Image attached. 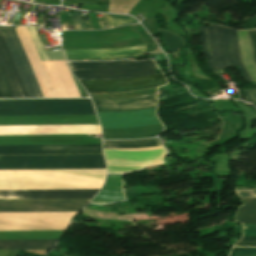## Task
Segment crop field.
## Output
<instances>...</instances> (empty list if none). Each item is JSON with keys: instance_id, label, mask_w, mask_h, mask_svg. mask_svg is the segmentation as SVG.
Here are the masks:
<instances>
[{"instance_id": "2", "label": "crop field", "mask_w": 256, "mask_h": 256, "mask_svg": "<svg viewBox=\"0 0 256 256\" xmlns=\"http://www.w3.org/2000/svg\"><path fill=\"white\" fill-rule=\"evenodd\" d=\"M78 80L122 79L155 74L156 65L148 61L69 62Z\"/></svg>"}, {"instance_id": "9", "label": "crop field", "mask_w": 256, "mask_h": 256, "mask_svg": "<svg viewBox=\"0 0 256 256\" xmlns=\"http://www.w3.org/2000/svg\"><path fill=\"white\" fill-rule=\"evenodd\" d=\"M98 114L103 128H127L160 123L155 115V108L124 113Z\"/></svg>"}, {"instance_id": "22", "label": "crop field", "mask_w": 256, "mask_h": 256, "mask_svg": "<svg viewBox=\"0 0 256 256\" xmlns=\"http://www.w3.org/2000/svg\"><path fill=\"white\" fill-rule=\"evenodd\" d=\"M249 41L256 61V30L248 31Z\"/></svg>"}, {"instance_id": "6", "label": "crop field", "mask_w": 256, "mask_h": 256, "mask_svg": "<svg viewBox=\"0 0 256 256\" xmlns=\"http://www.w3.org/2000/svg\"><path fill=\"white\" fill-rule=\"evenodd\" d=\"M89 93L103 92H124L145 89L155 86H161L166 83L162 74L122 79V80H97V81H80Z\"/></svg>"}, {"instance_id": "20", "label": "crop field", "mask_w": 256, "mask_h": 256, "mask_svg": "<svg viewBox=\"0 0 256 256\" xmlns=\"http://www.w3.org/2000/svg\"><path fill=\"white\" fill-rule=\"evenodd\" d=\"M72 19L74 21V30H85L81 19V12L72 10Z\"/></svg>"}, {"instance_id": "16", "label": "crop field", "mask_w": 256, "mask_h": 256, "mask_svg": "<svg viewBox=\"0 0 256 256\" xmlns=\"http://www.w3.org/2000/svg\"><path fill=\"white\" fill-rule=\"evenodd\" d=\"M245 206L241 207L236 221L246 224H256V198H242Z\"/></svg>"}, {"instance_id": "15", "label": "crop field", "mask_w": 256, "mask_h": 256, "mask_svg": "<svg viewBox=\"0 0 256 256\" xmlns=\"http://www.w3.org/2000/svg\"><path fill=\"white\" fill-rule=\"evenodd\" d=\"M57 240H0V250L52 249Z\"/></svg>"}, {"instance_id": "17", "label": "crop field", "mask_w": 256, "mask_h": 256, "mask_svg": "<svg viewBox=\"0 0 256 256\" xmlns=\"http://www.w3.org/2000/svg\"><path fill=\"white\" fill-rule=\"evenodd\" d=\"M161 145L158 139L141 141L103 142V148H141Z\"/></svg>"}, {"instance_id": "8", "label": "crop field", "mask_w": 256, "mask_h": 256, "mask_svg": "<svg viewBox=\"0 0 256 256\" xmlns=\"http://www.w3.org/2000/svg\"><path fill=\"white\" fill-rule=\"evenodd\" d=\"M0 68L14 98H28L0 32ZM0 70V98H13Z\"/></svg>"}, {"instance_id": "7", "label": "crop field", "mask_w": 256, "mask_h": 256, "mask_svg": "<svg viewBox=\"0 0 256 256\" xmlns=\"http://www.w3.org/2000/svg\"><path fill=\"white\" fill-rule=\"evenodd\" d=\"M89 200L0 201V212L78 211Z\"/></svg>"}, {"instance_id": "24", "label": "crop field", "mask_w": 256, "mask_h": 256, "mask_svg": "<svg viewBox=\"0 0 256 256\" xmlns=\"http://www.w3.org/2000/svg\"><path fill=\"white\" fill-rule=\"evenodd\" d=\"M244 236H256V225H244Z\"/></svg>"}, {"instance_id": "5", "label": "crop field", "mask_w": 256, "mask_h": 256, "mask_svg": "<svg viewBox=\"0 0 256 256\" xmlns=\"http://www.w3.org/2000/svg\"><path fill=\"white\" fill-rule=\"evenodd\" d=\"M29 98L44 97L14 28H0Z\"/></svg>"}, {"instance_id": "12", "label": "crop field", "mask_w": 256, "mask_h": 256, "mask_svg": "<svg viewBox=\"0 0 256 256\" xmlns=\"http://www.w3.org/2000/svg\"><path fill=\"white\" fill-rule=\"evenodd\" d=\"M102 153L101 145L0 146V154Z\"/></svg>"}, {"instance_id": "14", "label": "crop field", "mask_w": 256, "mask_h": 256, "mask_svg": "<svg viewBox=\"0 0 256 256\" xmlns=\"http://www.w3.org/2000/svg\"><path fill=\"white\" fill-rule=\"evenodd\" d=\"M163 126L161 124L127 128V129H102L103 139H140L154 137L161 132Z\"/></svg>"}, {"instance_id": "13", "label": "crop field", "mask_w": 256, "mask_h": 256, "mask_svg": "<svg viewBox=\"0 0 256 256\" xmlns=\"http://www.w3.org/2000/svg\"><path fill=\"white\" fill-rule=\"evenodd\" d=\"M146 44L122 49L64 50L67 59L117 58L144 54Z\"/></svg>"}, {"instance_id": "23", "label": "crop field", "mask_w": 256, "mask_h": 256, "mask_svg": "<svg viewBox=\"0 0 256 256\" xmlns=\"http://www.w3.org/2000/svg\"><path fill=\"white\" fill-rule=\"evenodd\" d=\"M235 193L239 197H256V189L255 190H236Z\"/></svg>"}, {"instance_id": "25", "label": "crop field", "mask_w": 256, "mask_h": 256, "mask_svg": "<svg viewBox=\"0 0 256 256\" xmlns=\"http://www.w3.org/2000/svg\"><path fill=\"white\" fill-rule=\"evenodd\" d=\"M248 91L256 98V89H250ZM243 93L247 100L256 103V100L246 90H244Z\"/></svg>"}, {"instance_id": "4", "label": "crop field", "mask_w": 256, "mask_h": 256, "mask_svg": "<svg viewBox=\"0 0 256 256\" xmlns=\"http://www.w3.org/2000/svg\"><path fill=\"white\" fill-rule=\"evenodd\" d=\"M95 114L91 100L0 101V116Z\"/></svg>"}, {"instance_id": "10", "label": "crop field", "mask_w": 256, "mask_h": 256, "mask_svg": "<svg viewBox=\"0 0 256 256\" xmlns=\"http://www.w3.org/2000/svg\"><path fill=\"white\" fill-rule=\"evenodd\" d=\"M99 189L0 191V200L92 198Z\"/></svg>"}, {"instance_id": "19", "label": "crop field", "mask_w": 256, "mask_h": 256, "mask_svg": "<svg viewBox=\"0 0 256 256\" xmlns=\"http://www.w3.org/2000/svg\"><path fill=\"white\" fill-rule=\"evenodd\" d=\"M231 256H256V248H233Z\"/></svg>"}, {"instance_id": "21", "label": "crop field", "mask_w": 256, "mask_h": 256, "mask_svg": "<svg viewBox=\"0 0 256 256\" xmlns=\"http://www.w3.org/2000/svg\"><path fill=\"white\" fill-rule=\"evenodd\" d=\"M235 246H256V237H243Z\"/></svg>"}, {"instance_id": "3", "label": "crop field", "mask_w": 256, "mask_h": 256, "mask_svg": "<svg viewBox=\"0 0 256 256\" xmlns=\"http://www.w3.org/2000/svg\"><path fill=\"white\" fill-rule=\"evenodd\" d=\"M105 168L103 155L1 156L0 170Z\"/></svg>"}, {"instance_id": "11", "label": "crop field", "mask_w": 256, "mask_h": 256, "mask_svg": "<svg viewBox=\"0 0 256 256\" xmlns=\"http://www.w3.org/2000/svg\"><path fill=\"white\" fill-rule=\"evenodd\" d=\"M96 112H124L156 106V94L121 99H92Z\"/></svg>"}, {"instance_id": "18", "label": "crop field", "mask_w": 256, "mask_h": 256, "mask_svg": "<svg viewBox=\"0 0 256 256\" xmlns=\"http://www.w3.org/2000/svg\"><path fill=\"white\" fill-rule=\"evenodd\" d=\"M107 16L113 27L138 23L134 18L130 16H119V15H110V14H107Z\"/></svg>"}, {"instance_id": "1", "label": "crop field", "mask_w": 256, "mask_h": 256, "mask_svg": "<svg viewBox=\"0 0 256 256\" xmlns=\"http://www.w3.org/2000/svg\"><path fill=\"white\" fill-rule=\"evenodd\" d=\"M200 28L202 47L210 70L215 72L238 65L247 82L252 81L242 64L235 30L218 25Z\"/></svg>"}]
</instances>
